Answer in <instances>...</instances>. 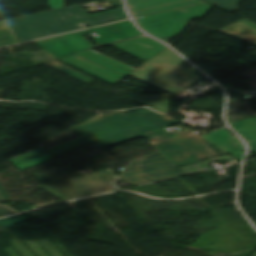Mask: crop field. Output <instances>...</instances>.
<instances>
[{"mask_svg":"<svg viewBox=\"0 0 256 256\" xmlns=\"http://www.w3.org/2000/svg\"><path fill=\"white\" fill-rule=\"evenodd\" d=\"M11 200L7 192L5 191L4 187L0 183V201H8Z\"/></svg>","mask_w":256,"mask_h":256,"instance_id":"obj_21","label":"crop field"},{"mask_svg":"<svg viewBox=\"0 0 256 256\" xmlns=\"http://www.w3.org/2000/svg\"><path fill=\"white\" fill-rule=\"evenodd\" d=\"M253 256H256V251H255V253L253 254Z\"/></svg>","mask_w":256,"mask_h":256,"instance_id":"obj_28","label":"crop field"},{"mask_svg":"<svg viewBox=\"0 0 256 256\" xmlns=\"http://www.w3.org/2000/svg\"><path fill=\"white\" fill-rule=\"evenodd\" d=\"M18 41L14 36L7 21L0 22V47L17 44Z\"/></svg>","mask_w":256,"mask_h":256,"instance_id":"obj_16","label":"crop field"},{"mask_svg":"<svg viewBox=\"0 0 256 256\" xmlns=\"http://www.w3.org/2000/svg\"><path fill=\"white\" fill-rule=\"evenodd\" d=\"M211 7L207 3L135 18L134 21L148 34L161 39L183 32L193 18H201Z\"/></svg>","mask_w":256,"mask_h":256,"instance_id":"obj_6","label":"crop field"},{"mask_svg":"<svg viewBox=\"0 0 256 256\" xmlns=\"http://www.w3.org/2000/svg\"><path fill=\"white\" fill-rule=\"evenodd\" d=\"M203 2L201 0H126L133 18Z\"/></svg>","mask_w":256,"mask_h":256,"instance_id":"obj_9","label":"crop field"},{"mask_svg":"<svg viewBox=\"0 0 256 256\" xmlns=\"http://www.w3.org/2000/svg\"><path fill=\"white\" fill-rule=\"evenodd\" d=\"M184 174L160 151L134 161L123 172L132 186L183 176Z\"/></svg>","mask_w":256,"mask_h":256,"instance_id":"obj_8","label":"crop field"},{"mask_svg":"<svg viewBox=\"0 0 256 256\" xmlns=\"http://www.w3.org/2000/svg\"><path fill=\"white\" fill-rule=\"evenodd\" d=\"M108 114H110V113H108ZM104 115H106V114L98 115V117H96V118H94V119H97V118L102 117V116H104ZM94 119H92V120H94ZM90 121H91V120H90ZM88 122H89V121H88Z\"/></svg>","mask_w":256,"mask_h":256,"instance_id":"obj_25","label":"crop field"},{"mask_svg":"<svg viewBox=\"0 0 256 256\" xmlns=\"http://www.w3.org/2000/svg\"><path fill=\"white\" fill-rule=\"evenodd\" d=\"M176 123L143 108L107 115L71 130L102 149L139 136L156 137L167 147L161 152L177 167L227 155L200 136L187 138L182 132L169 135L163 129Z\"/></svg>","mask_w":256,"mask_h":256,"instance_id":"obj_1","label":"crop field"},{"mask_svg":"<svg viewBox=\"0 0 256 256\" xmlns=\"http://www.w3.org/2000/svg\"><path fill=\"white\" fill-rule=\"evenodd\" d=\"M161 115V114H160ZM162 116H164V117H166V118H168V119H172V118H170V117H168V116H166V115H162Z\"/></svg>","mask_w":256,"mask_h":256,"instance_id":"obj_27","label":"crop field"},{"mask_svg":"<svg viewBox=\"0 0 256 256\" xmlns=\"http://www.w3.org/2000/svg\"><path fill=\"white\" fill-rule=\"evenodd\" d=\"M137 100L161 113L169 112L168 95H137Z\"/></svg>","mask_w":256,"mask_h":256,"instance_id":"obj_15","label":"crop field"},{"mask_svg":"<svg viewBox=\"0 0 256 256\" xmlns=\"http://www.w3.org/2000/svg\"><path fill=\"white\" fill-rule=\"evenodd\" d=\"M88 144H91V143L81 138V139L75 140L73 142L64 144L62 146L53 148L51 150H48V152L53 157H56L61 154L67 153L69 151L86 146ZM49 159H51L50 156L42 148H40V149H37L30 153H27L25 155H22L20 157H17L15 159H12V160H10V162H12L18 168L23 170L25 168L31 167L33 165L39 164V163L47 161Z\"/></svg>","mask_w":256,"mask_h":256,"instance_id":"obj_10","label":"crop field"},{"mask_svg":"<svg viewBox=\"0 0 256 256\" xmlns=\"http://www.w3.org/2000/svg\"><path fill=\"white\" fill-rule=\"evenodd\" d=\"M51 67L56 69V70H58V71H60V72L65 73V74H67V75H69V76H71V77H73L75 79H78V80H80V81H82V82H84L86 84L95 81V80H93V79H91V78H89V77H87V76H85L83 74H80V73H78V72H76V71H74V70H72V69H70V68H68V67H66V66H64L62 64L51 66Z\"/></svg>","mask_w":256,"mask_h":256,"instance_id":"obj_17","label":"crop field"},{"mask_svg":"<svg viewBox=\"0 0 256 256\" xmlns=\"http://www.w3.org/2000/svg\"><path fill=\"white\" fill-rule=\"evenodd\" d=\"M204 1H207L213 5H216L221 8L234 12L236 10V5L238 0H204Z\"/></svg>","mask_w":256,"mask_h":256,"instance_id":"obj_18","label":"crop field"},{"mask_svg":"<svg viewBox=\"0 0 256 256\" xmlns=\"http://www.w3.org/2000/svg\"><path fill=\"white\" fill-rule=\"evenodd\" d=\"M220 31L256 45V24L245 19H242Z\"/></svg>","mask_w":256,"mask_h":256,"instance_id":"obj_13","label":"crop field"},{"mask_svg":"<svg viewBox=\"0 0 256 256\" xmlns=\"http://www.w3.org/2000/svg\"><path fill=\"white\" fill-rule=\"evenodd\" d=\"M149 142H151L155 147H157L159 150L165 148V146L160 143L156 138H153V139H149L148 140Z\"/></svg>","mask_w":256,"mask_h":256,"instance_id":"obj_23","label":"crop field"},{"mask_svg":"<svg viewBox=\"0 0 256 256\" xmlns=\"http://www.w3.org/2000/svg\"><path fill=\"white\" fill-rule=\"evenodd\" d=\"M26 220H29V219L21 214H18V215L0 219V226L5 228V227H8V226H11V225H14V224L26 221Z\"/></svg>","mask_w":256,"mask_h":256,"instance_id":"obj_19","label":"crop field"},{"mask_svg":"<svg viewBox=\"0 0 256 256\" xmlns=\"http://www.w3.org/2000/svg\"><path fill=\"white\" fill-rule=\"evenodd\" d=\"M93 32H96L101 36L94 38V40L100 45L144 35L142 32L136 29L130 21H127L73 34L40 40L36 41L35 43L38 44L55 60H58L78 51L94 49L95 47L81 36L83 34Z\"/></svg>","mask_w":256,"mask_h":256,"instance_id":"obj_4","label":"crop field"},{"mask_svg":"<svg viewBox=\"0 0 256 256\" xmlns=\"http://www.w3.org/2000/svg\"><path fill=\"white\" fill-rule=\"evenodd\" d=\"M126 18L123 8L88 16L78 5H75L9 20L8 23L19 43H22L74 31L78 27V22L93 27Z\"/></svg>","mask_w":256,"mask_h":256,"instance_id":"obj_2","label":"crop field"},{"mask_svg":"<svg viewBox=\"0 0 256 256\" xmlns=\"http://www.w3.org/2000/svg\"><path fill=\"white\" fill-rule=\"evenodd\" d=\"M189 63L170 48L155 57L130 77L171 94L180 92L199 80Z\"/></svg>","mask_w":256,"mask_h":256,"instance_id":"obj_3","label":"crop field"},{"mask_svg":"<svg viewBox=\"0 0 256 256\" xmlns=\"http://www.w3.org/2000/svg\"><path fill=\"white\" fill-rule=\"evenodd\" d=\"M183 133H184L187 137L196 136V134H195L194 132H192L191 130H189V129L183 131Z\"/></svg>","mask_w":256,"mask_h":256,"instance_id":"obj_24","label":"crop field"},{"mask_svg":"<svg viewBox=\"0 0 256 256\" xmlns=\"http://www.w3.org/2000/svg\"><path fill=\"white\" fill-rule=\"evenodd\" d=\"M58 61L113 84L135 69L93 50L78 52Z\"/></svg>","mask_w":256,"mask_h":256,"instance_id":"obj_7","label":"crop field"},{"mask_svg":"<svg viewBox=\"0 0 256 256\" xmlns=\"http://www.w3.org/2000/svg\"><path fill=\"white\" fill-rule=\"evenodd\" d=\"M9 214H14V212L5 206H0V216L9 215Z\"/></svg>","mask_w":256,"mask_h":256,"instance_id":"obj_22","label":"crop field"},{"mask_svg":"<svg viewBox=\"0 0 256 256\" xmlns=\"http://www.w3.org/2000/svg\"><path fill=\"white\" fill-rule=\"evenodd\" d=\"M62 171L69 176L85 195L78 190ZM36 177L45 184L39 186V188L59 197L63 201L116 189L111 183L113 174L109 170L78 177L70 168H67L37 175Z\"/></svg>","mask_w":256,"mask_h":256,"instance_id":"obj_5","label":"crop field"},{"mask_svg":"<svg viewBox=\"0 0 256 256\" xmlns=\"http://www.w3.org/2000/svg\"><path fill=\"white\" fill-rule=\"evenodd\" d=\"M113 46L145 61L167 47L148 36L114 44Z\"/></svg>","mask_w":256,"mask_h":256,"instance_id":"obj_11","label":"crop field"},{"mask_svg":"<svg viewBox=\"0 0 256 256\" xmlns=\"http://www.w3.org/2000/svg\"><path fill=\"white\" fill-rule=\"evenodd\" d=\"M55 64H59V63L54 62V63H50V64H46V65L51 66V65H55Z\"/></svg>","mask_w":256,"mask_h":256,"instance_id":"obj_26","label":"crop field"},{"mask_svg":"<svg viewBox=\"0 0 256 256\" xmlns=\"http://www.w3.org/2000/svg\"><path fill=\"white\" fill-rule=\"evenodd\" d=\"M202 137L229 154L245 150L241 140L232 136L224 128L210 132L208 135H204ZM244 153L245 151L232 155L237 160L242 161Z\"/></svg>","mask_w":256,"mask_h":256,"instance_id":"obj_12","label":"crop field"},{"mask_svg":"<svg viewBox=\"0 0 256 256\" xmlns=\"http://www.w3.org/2000/svg\"><path fill=\"white\" fill-rule=\"evenodd\" d=\"M65 0H50L49 6H51V10L61 8L64 6Z\"/></svg>","mask_w":256,"mask_h":256,"instance_id":"obj_20","label":"crop field"},{"mask_svg":"<svg viewBox=\"0 0 256 256\" xmlns=\"http://www.w3.org/2000/svg\"><path fill=\"white\" fill-rule=\"evenodd\" d=\"M229 125L248 143L250 151L256 153V117Z\"/></svg>","mask_w":256,"mask_h":256,"instance_id":"obj_14","label":"crop field"}]
</instances>
